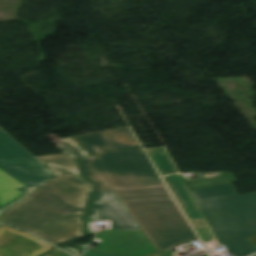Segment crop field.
Here are the masks:
<instances>
[{
	"label": "crop field",
	"mask_w": 256,
	"mask_h": 256,
	"mask_svg": "<svg viewBox=\"0 0 256 256\" xmlns=\"http://www.w3.org/2000/svg\"><path fill=\"white\" fill-rule=\"evenodd\" d=\"M56 178L3 210L0 222L31 231L57 245L84 236L85 209L94 186L79 175L70 155L36 157Z\"/></svg>",
	"instance_id": "crop-field-1"
},
{
	"label": "crop field",
	"mask_w": 256,
	"mask_h": 256,
	"mask_svg": "<svg viewBox=\"0 0 256 256\" xmlns=\"http://www.w3.org/2000/svg\"><path fill=\"white\" fill-rule=\"evenodd\" d=\"M71 139L91 160H81L82 174L97 189L163 187L114 191L123 200L171 198L166 187L128 127Z\"/></svg>",
	"instance_id": "crop-field-2"
},
{
	"label": "crop field",
	"mask_w": 256,
	"mask_h": 256,
	"mask_svg": "<svg viewBox=\"0 0 256 256\" xmlns=\"http://www.w3.org/2000/svg\"><path fill=\"white\" fill-rule=\"evenodd\" d=\"M192 193L219 242L237 256L256 251L244 239L256 234V193L238 195L233 184Z\"/></svg>",
	"instance_id": "crop-field-3"
},
{
	"label": "crop field",
	"mask_w": 256,
	"mask_h": 256,
	"mask_svg": "<svg viewBox=\"0 0 256 256\" xmlns=\"http://www.w3.org/2000/svg\"><path fill=\"white\" fill-rule=\"evenodd\" d=\"M160 256L173 254L171 247L197 239L173 199L123 202Z\"/></svg>",
	"instance_id": "crop-field-4"
},
{
	"label": "crop field",
	"mask_w": 256,
	"mask_h": 256,
	"mask_svg": "<svg viewBox=\"0 0 256 256\" xmlns=\"http://www.w3.org/2000/svg\"><path fill=\"white\" fill-rule=\"evenodd\" d=\"M0 168L23 183L30 190L55 177L51 170L1 128Z\"/></svg>",
	"instance_id": "crop-field-5"
},
{
	"label": "crop field",
	"mask_w": 256,
	"mask_h": 256,
	"mask_svg": "<svg viewBox=\"0 0 256 256\" xmlns=\"http://www.w3.org/2000/svg\"><path fill=\"white\" fill-rule=\"evenodd\" d=\"M101 240L97 251L143 256L157 251L143 230L109 229L97 234Z\"/></svg>",
	"instance_id": "crop-field-6"
},
{
	"label": "crop field",
	"mask_w": 256,
	"mask_h": 256,
	"mask_svg": "<svg viewBox=\"0 0 256 256\" xmlns=\"http://www.w3.org/2000/svg\"><path fill=\"white\" fill-rule=\"evenodd\" d=\"M86 220L107 221L110 228L141 229L112 191L94 193Z\"/></svg>",
	"instance_id": "crop-field-7"
},
{
	"label": "crop field",
	"mask_w": 256,
	"mask_h": 256,
	"mask_svg": "<svg viewBox=\"0 0 256 256\" xmlns=\"http://www.w3.org/2000/svg\"><path fill=\"white\" fill-rule=\"evenodd\" d=\"M51 248L30 233L8 226L0 228V256H37Z\"/></svg>",
	"instance_id": "crop-field-8"
},
{
	"label": "crop field",
	"mask_w": 256,
	"mask_h": 256,
	"mask_svg": "<svg viewBox=\"0 0 256 256\" xmlns=\"http://www.w3.org/2000/svg\"><path fill=\"white\" fill-rule=\"evenodd\" d=\"M28 190L0 170V210L23 197Z\"/></svg>",
	"instance_id": "crop-field-9"
},
{
	"label": "crop field",
	"mask_w": 256,
	"mask_h": 256,
	"mask_svg": "<svg viewBox=\"0 0 256 256\" xmlns=\"http://www.w3.org/2000/svg\"><path fill=\"white\" fill-rule=\"evenodd\" d=\"M146 151L162 176L178 171L165 147L150 148Z\"/></svg>",
	"instance_id": "crop-field-10"
},
{
	"label": "crop field",
	"mask_w": 256,
	"mask_h": 256,
	"mask_svg": "<svg viewBox=\"0 0 256 256\" xmlns=\"http://www.w3.org/2000/svg\"><path fill=\"white\" fill-rule=\"evenodd\" d=\"M44 256H71V255H69L68 253H66L62 250H59V249L55 248L50 253H48Z\"/></svg>",
	"instance_id": "crop-field-11"
},
{
	"label": "crop field",
	"mask_w": 256,
	"mask_h": 256,
	"mask_svg": "<svg viewBox=\"0 0 256 256\" xmlns=\"http://www.w3.org/2000/svg\"><path fill=\"white\" fill-rule=\"evenodd\" d=\"M84 256H121V255H114V254L86 251Z\"/></svg>",
	"instance_id": "crop-field-12"
},
{
	"label": "crop field",
	"mask_w": 256,
	"mask_h": 256,
	"mask_svg": "<svg viewBox=\"0 0 256 256\" xmlns=\"http://www.w3.org/2000/svg\"><path fill=\"white\" fill-rule=\"evenodd\" d=\"M254 247H256V235L246 238Z\"/></svg>",
	"instance_id": "crop-field-13"
},
{
	"label": "crop field",
	"mask_w": 256,
	"mask_h": 256,
	"mask_svg": "<svg viewBox=\"0 0 256 256\" xmlns=\"http://www.w3.org/2000/svg\"><path fill=\"white\" fill-rule=\"evenodd\" d=\"M146 256H158V255L152 253V254H149V255H146Z\"/></svg>",
	"instance_id": "crop-field-14"
},
{
	"label": "crop field",
	"mask_w": 256,
	"mask_h": 256,
	"mask_svg": "<svg viewBox=\"0 0 256 256\" xmlns=\"http://www.w3.org/2000/svg\"><path fill=\"white\" fill-rule=\"evenodd\" d=\"M118 190H120V189H118ZM98 191H103V190H98Z\"/></svg>",
	"instance_id": "crop-field-15"
}]
</instances>
